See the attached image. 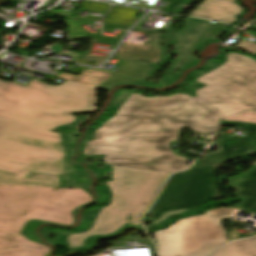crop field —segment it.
Returning <instances> with one entry per match:
<instances>
[{
	"label": "crop field",
	"mask_w": 256,
	"mask_h": 256,
	"mask_svg": "<svg viewBox=\"0 0 256 256\" xmlns=\"http://www.w3.org/2000/svg\"><path fill=\"white\" fill-rule=\"evenodd\" d=\"M221 125L240 127L247 134L231 138L219 132L216 142L221 152L205 156L194 169L173 174L150 210L152 225L218 195L212 164L254 153L256 148L251 142L256 138V124L222 121Z\"/></svg>",
	"instance_id": "5"
},
{
	"label": "crop field",
	"mask_w": 256,
	"mask_h": 256,
	"mask_svg": "<svg viewBox=\"0 0 256 256\" xmlns=\"http://www.w3.org/2000/svg\"><path fill=\"white\" fill-rule=\"evenodd\" d=\"M229 184L243 198L238 208L256 214V166L237 177H231Z\"/></svg>",
	"instance_id": "10"
},
{
	"label": "crop field",
	"mask_w": 256,
	"mask_h": 256,
	"mask_svg": "<svg viewBox=\"0 0 256 256\" xmlns=\"http://www.w3.org/2000/svg\"><path fill=\"white\" fill-rule=\"evenodd\" d=\"M235 2L228 0H206L190 16L224 21L232 24L236 14L242 12Z\"/></svg>",
	"instance_id": "9"
},
{
	"label": "crop field",
	"mask_w": 256,
	"mask_h": 256,
	"mask_svg": "<svg viewBox=\"0 0 256 256\" xmlns=\"http://www.w3.org/2000/svg\"><path fill=\"white\" fill-rule=\"evenodd\" d=\"M88 182L81 170L74 169L72 166L67 165L65 160L63 161L59 187L83 188Z\"/></svg>",
	"instance_id": "15"
},
{
	"label": "crop field",
	"mask_w": 256,
	"mask_h": 256,
	"mask_svg": "<svg viewBox=\"0 0 256 256\" xmlns=\"http://www.w3.org/2000/svg\"><path fill=\"white\" fill-rule=\"evenodd\" d=\"M228 61H209L191 75L207 85L196 91L198 97L175 94L147 98L120 89L109 109L116 115L95 131L81 159L100 157L115 164L163 172L186 169V157L175 156L181 127L200 133L216 132L218 119L256 107V61L229 53Z\"/></svg>",
	"instance_id": "1"
},
{
	"label": "crop field",
	"mask_w": 256,
	"mask_h": 256,
	"mask_svg": "<svg viewBox=\"0 0 256 256\" xmlns=\"http://www.w3.org/2000/svg\"><path fill=\"white\" fill-rule=\"evenodd\" d=\"M111 76L112 74L85 69L78 76L62 73L57 77L62 78L64 80H69V81L97 87L101 83H103L105 80L110 78Z\"/></svg>",
	"instance_id": "14"
},
{
	"label": "crop field",
	"mask_w": 256,
	"mask_h": 256,
	"mask_svg": "<svg viewBox=\"0 0 256 256\" xmlns=\"http://www.w3.org/2000/svg\"><path fill=\"white\" fill-rule=\"evenodd\" d=\"M91 201L83 189L0 186V256H46L49 249L20 234L29 219L70 225L71 212Z\"/></svg>",
	"instance_id": "2"
},
{
	"label": "crop field",
	"mask_w": 256,
	"mask_h": 256,
	"mask_svg": "<svg viewBox=\"0 0 256 256\" xmlns=\"http://www.w3.org/2000/svg\"><path fill=\"white\" fill-rule=\"evenodd\" d=\"M236 208L209 210L204 216L177 221L169 229L154 232L160 256H208L228 236L220 225L221 218H230Z\"/></svg>",
	"instance_id": "7"
},
{
	"label": "crop field",
	"mask_w": 256,
	"mask_h": 256,
	"mask_svg": "<svg viewBox=\"0 0 256 256\" xmlns=\"http://www.w3.org/2000/svg\"><path fill=\"white\" fill-rule=\"evenodd\" d=\"M95 90L69 81L57 87L38 80L26 87L0 82V118L51 130L76 119L70 112L95 111Z\"/></svg>",
	"instance_id": "3"
},
{
	"label": "crop field",
	"mask_w": 256,
	"mask_h": 256,
	"mask_svg": "<svg viewBox=\"0 0 256 256\" xmlns=\"http://www.w3.org/2000/svg\"><path fill=\"white\" fill-rule=\"evenodd\" d=\"M125 224H131V215L130 214L127 216Z\"/></svg>",
	"instance_id": "18"
},
{
	"label": "crop field",
	"mask_w": 256,
	"mask_h": 256,
	"mask_svg": "<svg viewBox=\"0 0 256 256\" xmlns=\"http://www.w3.org/2000/svg\"><path fill=\"white\" fill-rule=\"evenodd\" d=\"M113 181H106L112 191L111 203L101 209L93 227L82 234L68 236L69 247L84 244L93 234H106L121 227L126 216L132 214V224H140L143 214L155 198L168 173L112 165Z\"/></svg>",
	"instance_id": "6"
},
{
	"label": "crop field",
	"mask_w": 256,
	"mask_h": 256,
	"mask_svg": "<svg viewBox=\"0 0 256 256\" xmlns=\"http://www.w3.org/2000/svg\"><path fill=\"white\" fill-rule=\"evenodd\" d=\"M228 25L222 23H208L206 20L190 18L185 27L177 32L179 43L176 45L175 62L169 68L178 69L195 59L192 53L194 45L202 38L219 35Z\"/></svg>",
	"instance_id": "8"
},
{
	"label": "crop field",
	"mask_w": 256,
	"mask_h": 256,
	"mask_svg": "<svg viewBox=\"0 0 256 256\" xmlns=\"http://www.w3.org/2000/svg\"><path fill=\"white\" fill-rule=\"evenodd\" d=\"M149 69L150 67H148L146 64L133 61L106 82L101 84L98 88L109 90L111 86L117 84H136L139 80L145 79L146 73Z\"/></svg>",
	"instance_id": "11"
},
{
	"label": "crop field",
	"mask_w": 256,
	"mask_h": 256,
	"mask_svg": "<svg viewBox=\"0 0 256 256\" xmlns=\"http://www.w3.org/2000/svg\"><path fill=\"white\" fill-rule=\"evenodd\" d=\"M235 48H239V49H242V50H246V51H249V52L256 53V44H253V43H250V42H247V41H244V40H242L239 44H237L235 46Z\"/></svg>",
	"instance_id": "17"
},
{
	"label": "crop field",
	"mask_w": 256,
	"mask_h": 256,
	"mask_svg": "<svg viewBox=\"0 0 256 256\" xmlns=\"http://www.w3.org/2000/svg\"><path fill=\"white\" fill-rule=\"evenodd\" d=\"M222 120L236 121V122H246V123H256V111H250V112L242 113V114H239V115L224 118Z\"/></svg>",
	"instance_id": "16"
},
{
	"label": "crop field",
	"mask_w": 256,
	"mask_h": 256,
	"mask_svg": "<svg viewBox=\"0 0 256 256\" xmlns=\"http://www.w3.org/2000/svg\"><path fill=\"white\" fill-rule=\"evenodd\" d=\"M115 56L126 59H145L152 63H158L161 54L155 43L145 46L123 43Z\"/></svg>",
	"instance_id": "12"
},
{
	"label": "crop field",
	"mask_w": 256,
	"mask_h": 256,
	"mask_svg": "<svg viewBox=\"0 0 256 256\" xmlns=\"http://www.w3.org/2000/svg\"><path fill=\"white\" fill-rule=\"evenodd\" d=\"M64 149L58 133L0 119V185L58 187Z\"/></svg>",
	"instance_id": "4"
},
{
	"label": "crop field",
	"mask_w": 256,
	"mask_h": 256,
	"mask_svg": "<svg viewBox=\"0 0 256 256\" xmlns=\"http://www.w3.org/2000/svg\"><path fill=\"white\" fill-rule=\"evenodd\" d=\"M214 256H256V237L230 243Z\"/></svg>",
	"instance_id": "13"
}]
</instances>
